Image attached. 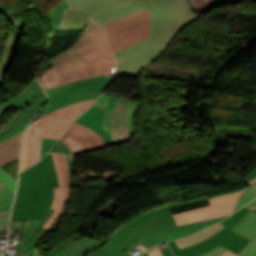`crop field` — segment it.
Instances as JSON below:
<instances>
[{
  "mask_svg": "<svg viewBox=\"0 0 256 256\" xmlns=\"http://www.w3.org/2000/svg\"><path fill=\"white\" fill-rule=\"evenodd\" d=\"M254 182H256V178H255L254 180L250 181L249 183H246V184L251 185V184H253Z\"/></svg>",
  "mask_w": 256,
  "mask_h": 256,
  "instance_id": "crop-field-51",
  "label": "crop field"
},
{
  "mask_svg": "<svg viewBox=\"0 0 256 256\" xmlns=\"http://www.w3.org/2000/svg\"><path fill=\"white\" fill-rule=\"evenodd\" d=\"M104 39L103 27L89 20L84 33L75 46L51 60V63L61 73L84 62L79 55Z\"/></svg>",
  "mask_w": 256,
  "mask_h": 256,
  "instance_id": "crop-field-10",
  "label": "crop field"
},
{
  "mask_svg": "<svg viewBox=\"0 0 256 256\" xmlns=\"http://www.w3.org/2000/svg\"><path fill=\"white\" fill-rule=\"evenodd\" d=\"M83 112H77L37 123L29 138L26 168L40 160L42 138L58 139L71 125L74 119Z\"/></svg>",
  "mask_w": 256,
  "mask_h": 256,
  "instance_id": "crop-field-8",
  "label": "crop field"
},
{
  "mask_svg": "<svg viewBox=\"0 0 256 256\" xmlns=\"http://www.w3.org/2000/svg\"><path fill=\"white\" fill-rule=\"evenodd\" d=\"M62 1L66 3L67 8L78 7L86 10L92 20L102 25L148 8L149 37L114 53L118 63L117 73L126 76H137L142 66L150 63L167 48L170 40L180 29L201 17L191 10L188 0Z\"/></svg>",
  "mask_w": 256,
  "mask_h": 256,
  "instance_id": "crop-field-1",
  "label": "crop field"
},
{
  "mask_svg": "<svg viewBox=\"0 0 256 256\" xmlns=\"http://www.w3.org/2000/svg\"><path fill=\"white\" fill-rule=\"evenodd\" d=\"M247 207H250V206H256V200L250 202L249 204L246 205Z\"/></svg>",
  "mask_w": 256,
  "mask_h": 256,
  "instance_id": "crop-field-49",
  "label": "crop field"
},
{
  "mask_svg": "<svg viewBox=\"0 0 256 256\" xmlns=\"http://www.w3.org/2000/svg\"><path fill=\"white\" fill-rule=\"evenodd\" d=\"M255 197H256V183L248 187V189L242 193V195L240 196V198L236 203L235 211L245 203L254 199Z\"/></svg>",
  "mask_w": 256,
  "mask_h": 256,
  "instance_id": "crop-field-28",
  "label": "crop field"
},
{
  "mask_svg": "<svg viewBox=\"0 0 256 256\" xmlns=\"http://www.w3.org/2000/svg\"><path fill=\"white\" fill-rule=\"evenodd\" d=\"M226 250H228V249H226L220 245V246L216 247L215 249H213L205 254H202L200 256H218L219 254L223 253Z\"/></svg>",
  "mask_w": 256,
  "mask_h": 256,
  "instance_id": "crop-field-39",
  "label": "crop field"
},
{
  "mask_svg": "<svg viewBox=\"0 0 256 256\" xmlns=\"http://www.w3.org/2000/svg\"><path fill=\"white\" fill-rule=\"evenodd\" d=\"M112 53L133 44L149 35L148 10L130 14L104 25Z\"/></svg>",
  "mask_w": 256,
  "mask_h": 256,
  "instance_id": "crop-field-6",
  "label": "crop field"
},
{
  "mask_svg": "<svg viewBox=\"0 0 256 256\" xmlns=\"http://www.w3.org/2000/svg\"><path fill=\"white\" fill-rule=\"evenodd\" d=\"M45 99V93L42 91L37 81L34 80L20 95L11 98L3 104L0 108V116L6 112L4 110L12 106L17 108L20 112L0 129V135L35 116L44 105Z\"/></svg>",
  "mask_w": 256,
  "mask_h": 256,
  "instance_id": "crop-field-7",
  "label": "crop field"
},
{
  "mask_svg": "<svg viewBox=\"0 0 256 256\" xmlns=\"http://www.w3.org/2000/svg\"><path fill=\"white\" fill-rule=\"evenodd\" d=\"M250 240L236 234L226 227H222L216 234L205 241L179 249L175 241L168 242L175 256H198L218 245H223L234 253H238Z\"/></svg>",
  "mask_w": 256,
  "mask_h": 256,
  "instance_id": "crop-field-9",
  "label": "crop field"
},
{
  "mask_svg": "<svg viewBox=\"0 0 256 256\" xmlns=\"http://www.w3.org/2000/svg\"><path fill=\"white\" fill-rule=\"evenodd\" d=\"M31 119H33V118H31ZM31 119L25 121V122H24L23 124H21L20 126L14 128V129H12L11 131L7 132L6 134H4V135H2V136H0V142L3 141V140H5V139H7L8 137L14 135L15 133H17V132H19V131L25 129L26 125L29 123V121H30Z\"/></svg>",
  "mask_w": 256,
  "mask_h": 256,
  "instance_id": "crop-field-36",
  "label": "crop field"
},
{
  "mask_svg": "<svg viewBox=\"0 0 256 256\" xmlns=\"http://www.w3.org/2000/svg\"><path fill=\"white\" fill-rule=\"evenodd\" d=\"M96 99L81 101L77 104L69 105V106H67L63 109H59V110L51 112L47 115H44V116L38 118L36 121H34L28 127L27 132H26V136H25V140H24V146H23V153H22L21 170L25 169V166H26V152H27L28 137L30 135L31 129L34 127V125L37 122L44 121L48 118L58 117V116L66 115V114H69V113L86 110L87 108H89L95 102Z\"/></svg>",
  "mask_w": 256,
  "mask_h": 256,
  "instance_id": "crop-field-17",
  "label": "crop field"
},
{
  "mask_svg": "<svg viewBox=\"0 0 256 256\" xmlns=\"http://www.w3.org/2000/svg\"><path fill=\"white\" fill-rule=\"evenodd\" d=\"M256 213V210H253Z\"/></svg>",
  "mask_w": 256,
  "mask_h": 256,
  "instance_id": "crop-field-55",
  "label": "crop field"
},
{
  "mask_svg": "<svg viewBox=\"0 0 256 256\" xmlns=\"http://www.w3.org/2000/svg\"><path fill=\"white\" fill-rule=\"evenodd\" d=\"M67 162H68V166H69V175H70V183H72V166L74 164L75 161V157H67Z\"/></svg>",
  "mask_w": 256,
  "mask_h": 256,
  "instance_id": "crop-field-42",
  "label": "crop field"
},
{
  "mask_svg": "<svg viewBox=\"0 0 256 256\" xmlns=\"http://www.w3.org/2000/svg\"><path fill=\"white\" fill-rule=\"evenodd\" d=\"M53 187H58L51 154L21 172L20 185L11 221L42 219L53 202Z\"/></svg>",
  "mask_w": 256,
  "mask_h": 256,
  "instance_id": "crop-field-2",
  "label": "crop field"
},
{
  "mask_svg": "<svg viewBox=\"0 0 256 256\" xmlns=\"http://www.w3.org/2000/svg\"><path fill=\"white\" fill-rule=\"evenodd\" d=\"M89 17L80 9H68L65 11L59 30L84 29Z\"/></svg>",
  "mask_w": 256,
  "mask_h": 256,
  "instance_id": "crop-field-20",
  "label": "crop field"
},
{
  "mask_svg": "<svg viewBox=\"0 0 256 256\" xmlns=\"http://www.w3.org/2000/svg\"><path fill=\"white\" fill-rule=\"evenodd\" d=\"M224 218L221 217L180 226L176 225L173 217L152 220L134 229L125 240L123 239L124 241L122 240L123 242L119 246L130 251L141 243L145 247L150 248L167 240L190 235Z\"/></svg>",
  "mask_w": 256,
  "mask_h": 256,
  "instance_id": "crop-field-4",
  "label": "crop field"
},
{
  "mask_svg": "<svg viewBox=\"0 0 256 256\" xmlns=\"http://www.w3.org/2000/svg\"><path fill=\"white\" fill-rule=\"evenodd\" d=\"M135 248H137V249H139V250H141V251H146V250H148L147 248H145V247H143L142 245H138L137 247H135Z\"/></svg>",
  "mask_w": 256,
  "mask_h": 256,
  "instance_id": "crop-field-48",
  "label": "crop field"
},
{
  "mask_svg": "<svg viewBox=\"0 0 256 256\" xmlns=\"http://www.w3.org/2000/svg\"><path fill=\"white\" fill-rule=\"evenodd\" d=\"M120 256H131L130 254H128L126 251L123 252Z\"/></svg>",
  "mask_w": 256,
  "mask_h": 256,
  "instance_id": "crop-field-50",
  "label": "crop field"
},
{
  "mask_svg": "<svg viewBox=\"0 0 256 256\" xmlns=\"http://www.w3.org/2000/svg\"><path fill=\"white\" fill-rule=\"evenodd\" d=\"M0 11L9 15V19H11L16 26V30H19V34L15 32V34H10L8 38L4 41L0 52V88H2L4 84V71L10 68L11 63L13 62V58L15 56L17 43L21 39L22 30L24 25H26V20L17 17V14L9 13L4 8L0 7Z\"/></svg>",
  "mask_w": 256,
  "mask_h": 256,
  "instance_id": "crop-field-14",
  "label": "crop field"
},
{
  "mask_svg": "<svg viewBox=\"0 0 256 256\" xmlns=\"http://www.w3.org/2000/svg\"><path fill=\"white\" fill-rule=\"evenodd\" d=\"M55 141L56 140H52V139H43L41 158L43 157L44 154L47 153V151L51 148V146L55 143Z\"/></svg>",
  "mask_w": 256,
  "mask_h": 256,
  "instance_id": "crop-field-38",
  "label": "crop field"
},
{
  "mask_svg": "<svg viewBox=\"0 0 256 256\" xmlns=\"http://www.w3.org/2000/svg\"><path fill=\"white\" fill-rule=\"evenodd\" d=\"M255 177H256V168L253 171H251L243 181L246 183L254 179Z\"/></svg>",
  "mask_w": 256,
  "mask_h": 256,
  "instance_id": "crop-field-44",
  "label": "crop field"
},
{
  "mask_svg": "<svg viewBox=\"0 0 256 256\" xmlns=\"http://www.w3.org/2000/svg\"><path fill=\"white\" fill-rule=\"evenodd\" d=\"M138 104L139 102L136 103L134 109H133V112L131 114V117H130V130H131V135L134 134V122H133V118H134V115L137 111V108H138Z\"/></svg>",
  "mask_w": 256,
  "mask_h": 256,
  "instance_id": "crop-field-41",
  "label": "crop field"
},
{
  "mask_svg": "<svg viewBox=\"0 0 256 256\" xmlns=\"http://www.w3.org/2000/svg\"><path fill=\"white\" fill-rule=\"evenodd\" d=\"M9 212L10 209L0 211V227L8 226Z\"/></svg>",
  "mask_w": 256,
  "mask_h": 256,
  "instance_id": "crop-field-37",
  "label": "crop field"
},
{
  "mask_svg": "<svg viewBox=\"0 0 256 256\" xmlns=\"http://www.w3.org/2000/svg\"><path fill=\"white\" fill-rule=\"evenodd\" d=\"M23 132L24 130L0 143L1 168L18 159Z\"/></svg>",
  "mask_w": 256,
  "mask_h": 256,
  "instance_id": "crop-field-19",
  "label": "crop field"
},
{
  "mask_svg": "<svg viewBox=\"0 0 256 256\" xmlns=\"http://www.w3.org/2000/svg\"><path fill=\"white\" fill-rule=\"evenodd\" d=\"M115 99H116V97L110 96L106 108L112 109V108H113V105H114V102H115Z\"/></svg>",
  "mask_w": 256,
  "mask_h": 256,
  "instance_id": "crop-field-46",
  "label": "crop field"
},
{
  "mask_svg": "<svg viewBox=\"0 0 256 256\" xmlns=\"http://www.w3.org/2000/svg\"><path fill=\"white\" fill-rule=\"evenodd\" d=\"M136 101L117 98L110 119V136L112 143L129 140V116Z\"/></svg>",
  "mask_w": 256,
  "mask_h": 256,
  "instance_id": "crop-field-13",
  "label": "crop field"
},
{
  "mask_svg": "<svg viewBox=\"0 0 256 256\" xmlns=\"http://www.w3.org/2000/svg\"><path fill=\"white\" fill-rule=\"evenodd\" d=\"M0 181L11 191H15L17 181L0 168Z\"/></svg>",
  "mask_w": 256,
  "mask_h": 256,
  "instance_id": "crop-field-33",
  "label": "crop field"
},
{
  "mask_svg": "<svg viewBox=\"0 0 256 256\" xmlns=\"http://www.w3.org/2000/svg\"><path fill=\"white\" fill-rule=\"evenodd\" d=\"M104 109L92 106L82 116H80L75 122L85 125L92 130L99 133L105 140L107 146L112 145L110 136L102 130V123L104 117Z\"/></svg>",
  "mask_w": 256,
  "mask_h": 256,
  "instance_id": "crop-field-18",
  "label": "crop field"
},
{
  "mask_svg": "<svg viewBox=\"0 0 256 256\" xmlns=\"http://www.w3.org/2000/svg\"><path fill=\"white\" fill-rule=\"evenodd\" d=\"M147 252H148L149 256H163L159 246H155V247L151 248L150 250H148Z\"/></svg>",
  "mask_w": 256,
  "mask_h": 256,
  "instance_id": "crop-field-40",
  "label": "crop field"
},
{
  "mask_svg": "<svg viewBox=\"0 0 256 256\" xmlns=\"http://www.w3.org/2000/svg\"><path fill=\"white\" fill-rule=\"evenodd\" d=\"M53 209L45 215V217L30 231V233L25 236L18 245L22 248L24 244L44 225V223L49 219L50 215L53 213Z\"/></svg>",
  "mask_w": 256,
  "mask_h": 256,
  "instance_id": "crop-field-32",
  "label": "crop field"
},
{
  "mask_svg": "<svg viewBox=\"0 0 256 256\" xmlns=\"http://www.w3.org/2000/svg\"><path fill=\"white\" fill-rule=\"evenodd\" d=\"M60 140L69 147L72 155L106 146L99 134L77 123Z\"/></svg>",
  "mask_w": 256,
  "mask_h": 256,
  "instance_id": "crop-field-12",
  "label": "crop field"
},
{
  "mask_svg": "<svg viewBox=\"0 0 256 256\" xmlns=\"http://www.w3.org/2000/svg\"><path fill=\"white\" fill-rule=\"evenodd\" d=\"M142 256H148L147 253L143 254Z\"/></svg>",
  "mask_w": 256,
  "mask_h": 256,
  "instance_id": "crop-field-52",
  "label": "crop field"
},
{
  "mask_svg": "<svg viewBox=\"0 0 256 256\" xmlns=\"http://www.w3.org/2000/svg\"><path fill=\"white\" fill-rule=\"evenodd\" d=\"M251 209H256V207H251Z\"/></svg>",
  "mask_w": 256,
  "mask_h": 256,
  "instance_id": "crop-field-53",
  "label": "crop field"
},
{
  "mask_svg": "<svg viewBox=\"0 0 256 256\" xmlns=\"http://www.w3.org/2000/svg\"><path fill=\"white\" fill-rule=\"evenodd\" d=\"M255 221L256 215L250 211L232 230L242 235L248 229V227Z\"/></svg>",
  "mask_w": 256,
  "mask_h": 256,
  "instance_id": "crop-field-27",
  "label": "crop field"
},
{
  "mask_svg": "<svg viewBox=\"0 0 256 256\" xmlns=\"http://www.w3.org/2000/svg\"><path fill=\"white\" fill-rule=\"evenodd\" d=\"M107 242L105 239L98 242L85 237L77 241H68L43 256H86L85 253L96 250Z\"/></svg>",
  "mask_w": 256,
  "mask_h": 256,
  "instance_id": "crop-field-15",
  "label": "crop field"
},
{
  "mask_svg": "<svg viewBox=\"0 0 256 256\" xmlns=\"http://www.w3.org/2000/svg\"><path fill=\"white\" fill-rule=\"evenodd\" d=\"M123 251H125V250H123L117 246L115 249H113L111 252H109L105 256H119Z\"/></svg>",
  "mask_w": 256,
  "mask_h": 256,
  "instance_id": "crop-field-43",
  "label": "crop field"
},
{
  "mask_svg": "<svg viewBox=\"0 0 256 256\" xmlns=\"http://www.w3.org/2000/svg\"><path fill=\"white\" fill-rule=\"evenodd\" d=\"M65 8H66L65 4H64V2H62L58 5H56L55 7H53L47 14L49 23H50V27L52 30L57 29Z\"/></svg>",
  "mask_w": 256,
  "mask_h": 256,
  "instance_id": "crop-field-26",
  "label": "crop field"
},
{
  "mask_svg": "<svg viewBox=\"0 0 256 256\" xmlns=\"http://www.w3.org/2000/svg\"><path fill=\"white\" fill-rule=\"evenodd\" d=\"M14 194L5 186L0 188V210L11 207Z\"/></svg>",
  "mask_w": 256,
  "mask_h": 256,
  "instance_id": "crop-field-29",
  "label": "crop field"
},
{
  "mask_svg": "<svg viewBox=\"0 0 256 256\" xmlns=\"http://www.w3.org/2000/svg\"><path fill=\"white\" fill-rule=\"evenodd\" d=\"M3 186V184L0 183V187Z\"/></svg>",
  "mask_w": 256,
  "mask_h": 256,
  "instance_id": "crop-field-54",
  "label": "crop field"
},
{
  "mask_svg": "<svg viewBox=\"0 0 256 256\" xmlns=\"http://www.w3.org/2000/svg\"><path fill=\"white\" fill-rule=\"evenodd\" d=\"M220 256H237V255L228 250V251L224 252L223 254H221Z\"/></svg>",
  "mask_w": 256,
  "mask_h": 256,
  "instance_id": "crop-field-47",
  "label": "crop field"
},
{
  "mask_svg": "<svg viewBox=\"0 0 256 256\" xmlns=\"http://www.w3.org/2000/svg\"><path fill=\"white\" fill-rule=\"evenodd\" d=\"M244 190L211 198L209 199L211 206L175 214L174 218L177 224L180 225L230 215L232 214L236 200Z\"/></svg>",
  "mask_w": 256,
  "mask_h": 256,
  "instance_id": "crop-field-11",
  "label": "crop field"
},
{
  "mask_svg": "<svg viewBox=\"0 0 256 256\" xmlns=\"http://www.w3.org/2000/svg\"><path fill=\"white\" fill-rule=\"evenodd\" d=\"M48 153H62L66 155H71L70 150L60 140L56 143V145L53 148L50 149Z\"/></svg>",
  "mask_w": 256,
  "mask_h": 256,
  "instance_id": "crop-field-35",
  "label": "crop field"
},
{
  "mask_svg": "<svg viewBox=\"0 0 256 256\" xmlns=\"http://www.w3.org/2000/svg\"><path fill=\"white\" fill-rule=\"evenodd\" d=\"M108 95L101 94L100 98L98 99L97 103L94 106L104 108L106 107ZM111 115V110L106 109L104 123H103V130L109 133V119Z\"/></svg>",
  "mask_w": 256,
  "mask_h": 256,
  "instance_id": "crop-field-30",
  "label": "crop field"
},
{
  "mask_svg": "<svg viewBox=\"0 0 256 256\" xmlns=\"http://www.w3.org/2000/svg\"><path fill=\"white\" fill-rule=\"evenodd\" d=\"M249 211L250 210L247 207H244L221 223L232 229Z\"/></svg>",
  "mask_w": 256,
  "mask_h": 256,
  "instance_id": "crop-field-31",
  "label": "crop field"
},
{
  "mask_svg": "<svg viewBox=\"0 0 256 256\" xmlns=\"http://www.w3.org/2000/svg\"><path fill=\"white\" fill-rule=\"evenodd\" d=\"M80 56L86 62L62 74L54 67L42 74L39 78L42 86L47 89L96 75L115 72V60L107 47L106 41L87 50Z\"/></svg>",
  "mask_w": 256,
  "mask_h": 256,
  "instance_id": "crop-field-3",
  "label": "crop field"
},
{
  "mask_svg": "<svg viewBox=\"0 0 256 256\" xmlns=\"http://www.w3.org/2000/svg\"><path fill=\"white\" fill-rule=\"evenodd\" d=\"M161 250L164 256H173L168 246L162 247Z\"/></svg>",
  "mask_w": 256,
  "mask_h": 256,
  "instance_id": "crop-field-45",
  "label": "crop field"
},
{
  "mask_svg": "<svg viewBox=\"0 0 256 256\" xmlns=\"http://www.w3.org/2000/svg\"><path fill=\"white\" fill-rule=\"evenodd\" d=\"M52 155L55 161V167H56L57 177L59 181V188H54V202L51 208L58 209L61 202L62 187H64V182H63V175L60 167L59 157L56 154H52Z\"/></svg>",
  "mask_w": 256,
  "mask_h": 256,
  "instance_id": "crop-field-24",
  "label": "crop field"
},
{
  "mask_svg": "<svg viewBox=\"0 0 256 256\" xmlns=\"http://www.w3.org/2000/svg\"><path fill=\"white\" fill-rule=\"evenodd\" d=\"M60 157V162H61V166H62V170H63V174H64V182H65V188H63V197H62V203L61 206L59 208V210H55L54 213L51 215L50 219L45 223V225L43 226V228L48 229V227L52 224V222L56 219L58 213L63 210L67 199L70 196V187H69V176H68V167H67V163H66V158L63 155H59Z\"/></svg>",
  "mask_w": 256,
  "mask_h": 256,
  "instance_id": "crop-field-21",
  "label": "crop field"
},
{
  "mask_svg": "<svg viewBox=\"0 0 256 256\" xmlns=\"http://www.w3.org/2000/svg\"><path fill=\"white\" fill-rule=\"evenodd\" d=\"M115 73L47 89L49 102L40 116L81 100L98 97L101 91L114 79Z\"/></svg>",
  "mask_w": 256,
  "mask_h": 256,
  "instance_id": "crop-field-5",
  "label": "crop field"
},
{
  "mask_svg": "<svg viewBox=\"0 0 256 256\" xmlns=\"http://www.w3.org/2000/svg\"><path fill=\"white\" fill-rule=\"evenodd\" d=\"M117 245L112 244L110 241L101 247L99 250H96L92 253H88L87 256H104L107 254L109 251H111L113 248H115Z\"/></svg>",
  "mask_w": 256,
  "mask_h": 256,
  "instance_id": "crop-field-34",
  "label": "crop field"
},
{
  "mask_svg": "<svg viewBox=\"0 0 256 256\" xmlns=\"http://www.w3.org/2000/svg\"><path fill=\"white\" fill-rule=\"evenodd\" d=\"M48 233V230L41 228L29 241L27 246L24 248L27 252L26 256H42L37 250L36 246L40 239ZM43 239V238H42Z\"/></svg>",
  "mask_w": 256,
  "mask_h": 256,
  "instance_id": "crop-field-25",
  "label": "crop field"
},
{
  "mask_svg": "<svg viewBox=\"0 0 256 256\" xmlns=\"http://www.w3.org/2000/svg\"><path fill=\"white\" fill-rule=\"evenodd\" d=\"M222 226L223 225H221V224L214 225L212 227H209V228H207L203 231H200L196 234H193L191 236L176 240V243L178 244L179 248H183V247L191 245L193 243L202 241V240L210 237L214 233H216Z\"/></svg>",
  "mask_w": 256,
  "mask_h": 256,
  "instance_id": "crop-field-22",
  "label": "crop field"
},
{
  "mask_svg": "<svg viewBox=\"0 0 256 256\" xmlns=\"http://www.w3.org/2000/svg\"><path fill=\"white\" fill-rule=\"evenodd\" d=\"M183 202H177L171 205H167L158 209H155L153 211H150L148 213H144L142 215H139L138 217H136L134 220L130 221L129 223H127L126 225L122 224L117 231L110 237L111 242L115 243V244H119L123 239H125L128 234L137 226H139L140 224L148 221V220H152V219H156V218H160V217H171L172 214L170 213L168 207L170 206H174V205H178L181 204Z\"/></svg>",
  "mask_w": 256,
  "mask_h": 256,
  "instance_id": "crop-field-16",
  "label": "crop field"
},
{
  "mask_svg": "<svg viewBox=\"0 0 256 256\" xmlns=\"http://www.w3.org/2000/svg\"><path fill=\"white\" fill-rule=\"evenodd\" d=\"M252 239L237 255L239 256H256V222L243 234Z\"/></svg>",
  "mask_w": 256,
  "mask_h": 256,
  "instance_id": "crop-field-23",
  "label": "crop field"
}]
</instances>
